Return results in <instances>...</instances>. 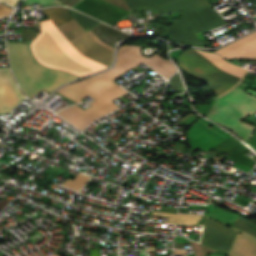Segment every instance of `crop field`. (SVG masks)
Wrapping results in <instances>:
<instances>
[{
  "instance_id": "8a807250",
  "label": "crop field",
  "mask_w": 256,
  "mask_h": 256,
  "mask_svg": "<svg viewBox=\"0 0 256 256\" xmlns=\"http://www.w3.org/2000/svg\"><path fill=\"white\" fill-rule=\"evenodd\" d=\"M117 66L106 74L83 82L66 86L59 92L74 102H82L80 99L90 96L96 101L91 103L96 106L89 111H84L77 105L58 112L80 130H83L94 119L118 108L112 101L126 94L127 91L120 88L112 80L123 75L141 62L147 63L164 77L172 75L176 69L170 60L161 58L158 53L150 58L140 55L143 47L121 46Z\"/></svg>"
},
{
  "instance_id": "ac0d7876",
  "label": "crop field",
  "mask_w": 256,
  "mask_h": 256,
  "mask_svg": "<svg viewBox=\"0 0 256 256\" xmlns=\"http://www.w3.org/2000/svg\"><path fill=\"white\" fill-rule=\"evenodd\" d=\"M50 20L41 22V32L31 43L35 58L42 64L78 76L94 73L107 66L80 54L56 26L73 19L66 8L44 9Z\"/></svg>"
},
{
  "instance_id": "34b2d1b8",
  "label": "crop field",
  "mask_w": 256,
  "mask_h": 256,
  "mask_svg": "<svg viewBox=\"0 0 256 256\" xmlns=\"http://www.w3.org/2000/svg\"><path fill=\"white\" fill-rule=\"evenodd\" d=\"M9 61L22 91L30 98L40 89L51 92L78 77L43 67L34 60L29 44L7 42Z\"/></svg>"
},
{
  "instance_id": "412701ff",
  "label": "crop field",
  "mask_w": 256,
  "mask_h": 256,
  "mask_svg": "<svg viewBox=\"0 0 256 256\" xmlns=\"http://www.w3.org/2000/svg\"><path fill=\"white\" fill-rule=\"evenodd\" d=\"M193 52L201 55L202 57H204L206 60H208L210 63L214 64L215 66L227 71L228 73L235 75L239 78L242 79L243 75L245 74V72L247 70L238 67V66H234L231 65L229 63H227L225 60H223L221 57L212 54V53H207V52H203V51H198V50H194L192 49ZM191 51V50H190ZM192 52V51H191ZM191 52H189L188 50L182 52L181 54L178 55V63L180 65V67L185 70L186 72L196 76L197 78L205 81L212 89L213 93L218 96L220 95L222 92H224L226 89H228L229 87H231L232 85H234V83L237 81V79L230 77L226 74L225 71L215 67L214 65H212L213 67L217 68L218 70L226 73H222L220 71H218L217 69L213 68L212 66H210L209 62H207L205 59H203L202 57L198 56L197 54H195L196 56H198L200 59H202L203 61L209 63H205L203 61H201L199 58H197L195 55H193ZM229 74V75H230ZM231 75V76H232ZM241 82V80L239 79L234 86H232L231 88H229L228 90H226L223 94H221L220 96H218L219 98H221L222 96H224L225 94H227L229 91H231L232 89H234L235 87H237V85Z\"/></svg>"
},
{
  "instance_id": "f4fd0767",
  "label": "crop field",
  "mask_w": 256,
  "mask_h": 256,
  "mask_svg": "<svg viewBox=\"0 0 256 256\" xmlns=\"http://www.w3.org/2000/svg\"><path fill=\"white\" fill-rule=\"evenodd\" d=\"M254 112H256V98L237 87L218 100L207 116L230 127L247 141L253 135L256 127L240 120Z\"/></svg>"
},
{
  "instance_id": "dd49c442",
  "label": "crop field",
  "mask_w": 256,
  "mask_h": 256,
  "mask_svg": "<svg viewBox=\"0 0 256 256\" xmlns=\"http://www.w3.org/2000/svg\"><path fill=\"white\" fill-rule=\"evenodd\" d=\"M58 28L69 41L87 33V31L75 19L58 26ZM71 43L82 54L107 66L112 62L113 49L101 43L90 31L87 34L71 41Z\"/></svg>"
},
{
  "instance_id": "e52e79f7",
  "label": "crop field",
  "mask_w": 256,
  "mask_h": 256,
  "mask_svg": "<svg viewBox=\"0 0 256 256\" xmlns=\"http://www.w3.org/2000/svg\"><path fill=\"white\" fill-rule=\"evenodd\" d=\"M169 29L170 40L195 47H204L205 41L197 40V33L208 31L197 10L181 12V19L173 20Z\"/></svg>"
},
{
  "instance_id": "d8731c3e",
  "label": "crop field",
  "mask_w": 256,
  "mask_h": 256,
  "mask_svg": "<svg viewBox=\"0 0 256 256\" xmlns=\"http://www.w3.org/2000/svg\"><path fill=\"white\" fill-rule=\"evenodd\" d=\"M149 2L165 12L197 9L209 30L226 24L207 0H149Z\"/></svg>"
},
{
  "instance_id": "5a996713",
  "label": "crop field",
  "mask_w": 256,
  "mask_h": 256,
  "mask_svg": "<svg viewBox=\"0 0 256 256\" xmlns=\"http://www.w3.org/2000/svg\"><path fill=\"white\" fill-rule=\"evenodd\" d=\"M237 233V231L224 226V224L206 217L203 225L201 243L219 251L228 252Z\"/></svg>"
},
{
  "instance_id": "3316defc",
  "label": "crop field",
  "mask_w": 256,
  "mask_h": 256,
  "mask_svg": "<svg viewBox=\"0 0 256 256\" xmlns=\"http://www.w3.org/2000/svg\"><path fill=\"white\" fill-rule=\"evenodd\" d=\"M24 98L8 68H0V114L11 113L10 110Z\"/></svg>"
},
{
  "instance_id": "28ad6ade",
  "label": "crop field",
  "mask_w": 256,
  "mask_h": 256,
  "mask_svg": "<svg viewBox=\"0 0 256 256\" xmlns=\"http://www.w3.org/2000/svg\"><path fill=\"white\" fill-rule=\"evenodd\" d=\"M94 1H96L98 3H101V4L107 6V7L111 8V9H114V10H116V11H118V12L124 14V15L129 13V11H127V10H125L123 8H120V7H118V6H116V5L112 4V3H109V2H107L105 0H94ZM94 1H92V0H83V2H85L87 4H90V5H92V6L96 7V8H99V9H101L103 11H106V12L112 14V15H115V16L119 17V18L124 16V15H122V14H120V13L114 11V10H111V9L101 5V4H98V3L94 2ZM83 2L79 3L78 5L84 7L86 9H88V10H91V11H93V12H95V13L101 15V16H104V17H106V18H108V19H110V20H112L114 22L119 20V18H117L115 16H112V15L106 13V12H103V11H101L99 9H96V8L90 6V5H87V4L83 3ZM78 5H76L74 7V9L80 10V11H82V12H84V13H86V14H88V15H90V16H92V17H94V18H96V19H98L100 21L108 23L110 25L114 24V22H112V21H110V20H108V19H106L104 17H101V16H99V15H97V14L91 12V11H88V10L78 6Z\"/></svg>"
},
{
  "instance_id": "d1516ede",
  "label": "crop field",
  "mask_w": 256,
  "mask_h": 256,
  "mask_svg": "<svg viewBox=\"0 0 256 256\" xmlns=\"http://www.w3.org/2000/svg\"><path fill=\"white\" fill-rule=\"evenodd\" d=\"M256 35V32L239 39L235 42H232L231 44L223 47L222 49L216 51L215 53H222L235 45L249 39L250 37ZM224 58H241V59H250L256 55V36L250 38L249 40L235 46L234 48L220 54ZM251 60H256V56L252 58Z\"/></svg>"
},
{
  "instance_id": "22f410ed",
  "label": "crop field",
  "mask_w": 256,
  "mask_h": 256,
  "mask_svg": "<svg viewBox=\"0 0 256 256\" xmlns=\"http://www.w3.org/2000/svg\"><path fill=\"white\" fill-rule=\"evenodd\" d=\"M214 149L230 153V155L228 156L229 158L244 165H247L251 168H253L252 166L256 163L255 161L242 155L245 151L249 149L234 139L229 138Z\"/></svg>"
},
{
  "instance_id": "cbeb9de0",
  "label": "crop field",
  "mask_w": 256,
  "mask_h": 256,
  "mask_svg": "<svg viewBox=\"0 0 256 256\" xmlns=\"http://www.w3.org/2000/svg\"><path fill=\"white\" fill-rule=\"evenodd\" d=\"M230 254L234 256H256V239L243 232L238 234Z\"/></svg>"
},
{
  "instance_id": "5142ce71",
  "label": "crop field",
  "mask_w": 256,
  "mask_h": 256,
  "mask_svg": "<svg viewBox=\"0 0 256 256\" xmlns=\"http://www.w3.org/2000/svg\"><path fill=\"white\" fill-rule=\"evenodd\" d=\"M153 215L166 216L168 217L167 222L177 223V224H186V225H196V223L201 218L200 215L172 214V213H164V212H154Z\"/></svg>"
},
{
  "instance_id": "d9b57169",
  "label": "crop field",
  "mask_w": 256,
  "mask_h": 256,
  "mask_svg": "<svg viewBox=\"0 0 256 256\" xmlns=\"http://www.w3.org/2000/svg\"><path fill=\"white\" fill-rule=\"evenodd\" d=\"M231 226L256 237V224L247 221L241 217H239Z\"/></svg>"
},
{
  "instance_id": "733c2abd",
  "label": "crop field",
  "mask_w": 256,
  "mask_h": 256,
  "mask_svg": "<svg viewBox=\"0 0 256 256\" xmlns=\"http://www.w3.org/2000/svg\"><path fill=\"white\" fill-rule=\"evenodd\" d=\"M90 178L91 177L79 173L73 181L67 179L62 184V186H65V187L71 188L73 190L79 191V189L81 187H83Z\"/></svg>"
},
{
  "instance_id": "4a817a6b",
  "label": "crop field",
  "mask_w": 256,
  "mask_h": 256,
  "mask_svg": "<svg viewBox=\"0 0 256 256\" xmlns=\"http://www.w3.org/2000/svg\"><path fill=\"white\" fill-rule=\"evenodd\" d=\"M68 9V8H67ZM70 13L76 18V20L88 31L96 24L100 23L92 18L84 16L72 9H68Z\"/></svg>"
},
{
  "instance_id": "bc2a9ffb",
  "label": "crop field",
  "mask_w": 256,
  "mask_h": 256,
  "mask_svg": "<svg viewBox=\"0 0 256 256\" xmlns=\"http://www.w3.org/2000/svg\"><path fill=\"white\" fill-rule=\"evenodd\" d=\"M125 2L128 5V7L130 8L131 12L139 10V9L147 7V6H150L148 3V0H125ZM150 7H152V6H150ZM152 8H154V7H152ZM154 9H156V8H154Z\"/></svg>"
},
{
  "instance_id": "214f88e0",
  "label": "crop field",
  "mask_w": 256,
  "mask_h": 256,
  "mask_svg": "<svg viewBox=\"0 0 256 256\" xmlns=\"http://www.w3.org/2000/svg\"><path fill=\"white\" fill-rule=\"evenodd\" d=\"M170 82L175 92L184 91L178 73H176L174 76L170 78Z\"/></svg>"
},
{
  "instance_id": "92a150f3",
  "label": "crop field",
  "mask_w": 256,
  "mask_h": 256,
  "mask_svg": "<svg viewBox=\"0 0 256 256\" xmlns=\"http://www.w3.org/2000/svg\"><path fill=\"white\" fill-rule=\"evenodd\" d=\"M25 2L41 3L43 6L49 4H62V2H60L59 0H25Z\"/></svg>"
},
{
  "instance_id": "dafd665d",
  "label": "crop field",
  "mask_w": 256,
  "mask_h": 256,
  "mask_svg": "<svg viewBox=\"0 0 256 256\" xmlns=\"http://www.w3.org/2000/svg\"><path fill=\"white\" fill-rule=\"evenodd\" d=\"M22 39L32 40L36 35V30L21 29Z\"/></svg>"
},
{
  "instance_id": "00972430",
  "label": "crop field",
  "mask_w": 256,
  "mask_h": 256,
  "mask_svg": "<svg viewBox=\"0 0 256 256\" xmlns=\"http://www.w3.org/2000/svg\"><path fill=\"white\" fill-rule=\"evenodd\" d=\"M10 10H11V8L0 3V15L8 14L10 12ZM0 17H3V16H0Z\"/></svg>"
},
{
  "instance_id": "a9b5d70f",
  "label": "crop field",
  "mask_w": 256,
  "mask_h": 256,
  "mask_svg": "<svg viewBox=\"0 0 256 256\" xmlns=\"http://www.w3.org/2000/svg\"><path fill=\"white\" fill-rule=\"evenodd\" d=\"M10 201L6 200V199H2L0 201V209L2 210Z\"/></svg>"
},
{
  "instance_id": "4177f3b9",
  "label": "crop field",
  "mask_w": 256,
  "mask_h": 256,
  "mask_svg": "<svg viewBox=\"0 0 256 256\" xmlns=\"http://www.w3.org/2000/svg\"><path fill=\"white\" fill-rule=\"evenodd\" d=\"M247 144L252 147L254 150H256V142L253 140H249Z\"/></svg>"
},
{
  "instance_id": "730fd06b",
  "label": "crop field",
  "mask_w": 256,
  "mask_h": 256,
  "mask_svg": "<svg viewBox=\"0 0 256 256\" xmlns=\"http://www.w3.org/2000/svg\"><path fill=\"white\" fill-rule=\"evenodd\" d=\"M2 1L8 2L9 4L15 6L16 3H17L19 0H2Z\"/></svg>"
},
{
  "instance_id": "eef30255",
  "label": "crop field",
  "mask_w": 256,
  "mask_h": 256,
  "mask_svg": "<svg viewBox=\"0 0 256 256\" xmlns=\"http://www.w3.org/2000/svg\"><path fill=\"white\" fill-rule=\"evenodd\" d=\"M52 256H59V255L54 254V255H52Z\"/></svg>"
},
{
  "instance_id": "ae1a2a85",
  "label": "crop field",
  "mask_w": 256,
  "mask_h": 256,
  "mask_svg": "<svg viewBox=\"0 0 256 256\" xmlns=\"http://www.w3.org/2000/svg\"><path fill=\"white\" fill-rule=\"evenodd\" d=\"M0 256H2V255H0Z\"/></svg>"
}]
</instances>
